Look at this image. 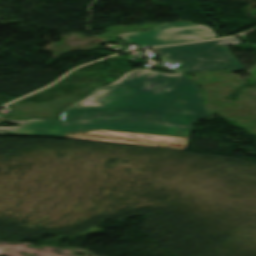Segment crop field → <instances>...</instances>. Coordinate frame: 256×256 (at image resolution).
<instances>
[{
    "instance_id": "1",
    "label": "crop field",
    "mask_w": 256,
    "mask_h": 256,
    "mask_svg": "<svg viewBox=\"0 0 256 256\" xmlns=\"http://www.w3.org/2000/svg\"><path fill=\"white\" fill-rule=\"evenodd\" d=\"M85 99L104 107L63 110L62 121L142 118L192 125L208 114L199 87L178 71L170 75L135 69ZM179 99L185 104L176 102Z\"/></svg>"
},
{
    "instance_id": "2",
    "label": "crop field",
    "mask_w": 256,
    "mask_h": 256,
    "mask_svg": "<svg viewBox=\"0 0 256 256\" xmlns=\"http://www.w3.org/2000/svg\"><path fill=\"white\" fill-rule=\"evenodd\" d=\"M8 122H15L20 124L18 125V127H0V133H17L65 137V131L109 129L188 137L192 128L187 126H178L139 120L90 122L68 125H62L61 120H10Z\"/></svg>"
},
{
    "instance_id": "3",
    "label": "crop field",
    "mask_w": 256,
    "mask_h": 256,
    "mask_svg": "<svg viewBox=\"0 0 256 256\" xmlns=\"http://www.w3.org/2000/svg\"><path fill=\"white\" fill-rule=\"evenodd\" d=\"M237 38L217 40L205 43L155 48L159 53L166 54L167 61H176L185 66L182 74L227 68L230 72L246 70L243 65L226 47L240 43Z\"/></svg>"
},
{
    "instance_id": "4",
    "label": "crop field",
    "mask_w": 256,
    "mask_h": 256,
    "mask_svg": "<svg viewBox=\"0 0 256 256\" xmlns=\"http://www.w3.org/2000/svg\"><path fill=\"white\" fill-rule=\"evenodd\" d=\"M119 37L140 46L150 47L185 41L214 38L217 35L209 26L187 22L158 25L151 31L119 34Z\"/></svg>"
},
{
    "instance_id": "5",
    "label": "crop field",
    "mask_w": 256,
    "mask_h": 256,
    "mask_svg": "<svg viewBox=\"0 0 256 256\" xmlns=\"http://www.w3.org/2000/svg\"><path fill=\"white\" fill-rule=\"evenodd\" d=\"M66 137L184 150L188 138L109 130L66 132Z\"/></svg>"
},
{
    "instance_id": "6",
    "label": "crop field",
    "mask_w": 256,
    "mask_h": 256,
    "mask_svg": "<svg viewBox=\"0 0 256 256\" xmlns=\"http://www.w3.org/2000/svg\"><path fill=\"white\" fill-rule=\"evenodd\" d=\"M81 106L102 107L103 105L100 103L92 102V101L82 100L69 108L81 107Z\"/></svg>"
},
{
    "instance_id": "7",
    "label": "crop field",
    "mask_w": 256,
    "mask_h": 256,
    "mask_svg": "<svg viewBox=\"0 0 256 256\" xmlns=\"http://www.w3.org/2000/svg\"><path fill=\"white\" fill-rule=\"evenodd\" d=\"M139 120H141V119H139ZM109 121H111V120H109ZM147 121H149V120H147ZM155 122H157V121H155ZM75 123H79V122H75ZM163 123H165V122H163ZM63 124H68V123H63ZM170 124H173V123H170ZM178 125H180V124H178Z\"/></svg>"
}]
</instances>
